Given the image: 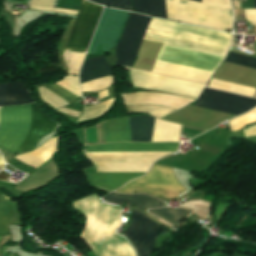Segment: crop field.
I'll list each match as a JSON object with an SVG mask.
<instances>
[{"instance_id":"obj_1","label":"crop field","mask_w":256,"mask_h":256,"mask_svg":"<svg viewBox=\"0 0 256 256\" xmlns=\"http://www.w3.org/2000/svg\"><path fill=\"white\" fill-rule=\"evenodd\" d=\"M151 19V17L143 16L140 14H130L124 28L123 36L116 48L115 66L132 65L141 44L142 38ZM147 32L225 50L228 49L231 41V34L228 33L207 30L191 25L180 24L155 18L152 19ZM148 33L145 34L143 39L166 43L191 50L206 52L222 57H224L227 52L221 49L202 46Z\"/></svg>"},{"instance_id":"obj_2","label":"crop field","mask_w":256,"mask_h":256,"mask_svg":"<svg viewBox=\"0 0 256 256\" xmlns=\"http://www.w3.org/2000/svg\"><path fill=\"white\" fill-rule=\"evenodd\" d=\"M179 143H113L84 146L85 151H175ZM179 146V145H178ZM98 172L148 171L158 158L172 152H85ZM147 172L92 173L89 177L101 189L112 191Z\"/></svg>"},{"instance_id":"obj_3","label":"crop field","mask_w":256,"mask_h":256,"mask_svg":"<svg viewBox=\"0 0 256 256\" xmlns=\"http://www.w3.org/2000/svg\"><path fill=\"white\" fill-rule=\"evenodd\" d=\"M95 194L73 202L87 217L81 237L87 242L95 256H134L126 239L115 234L120 225L121 208L101 203Z\"/></svg>"},{"instance_id":"obj_4","label":"crop field","mask_w":256,"mask_h":256,"mask_svg":"<svg viewBox=\"0 0 256 256\" xmlns=\"http://www.w3.org/2000/svg\"><path fill=\"white\" fill-rule=\"evenodd\" d=\"M133 11L166 18L165 0H132ZM167 18L216 29H231L233 13L229 0H166Z\"/></svg>"},{"instance_id":"obj_5","label":"crop field","mask_w":256,"mask_h":256,"mask_svg":"<svg viewBox=\"0 0 256 256\" xmlns=\"http://www.w3.org/2000/svg\"><path fill=\"white\" fill-rule=\"evenodd\" d=\"M56 124L36 103L0 109V134L32 150L39 139L54 130ZM2 135L0 149L13 154L30 151Z\"/></svg>"},{"instance_id":"obj_6","label":"crop field","mask_w":256,"mask_h":256,"mask_svg":"<svg viewBox=\"0 0 256 256\" xmlns=\"http://www.w3.org/2000/svg\"><path fill=\"white\" fill-rule=\"evenodd\" d=\"M185 189L177 182L171 168L154 165L141 178L131 181L116 192H145L160 197L176 198Z\"/></svg>"},{"instance_id":"obj_7","label":"crop field","mask_w":256,"mask_h":256,"mask_svg":"<svg viewBox=\"0 0 256 256\" xmlns=\"http://www.w3.org/2000/svg\"><path fill=\"white\" fill-rule=\"evenodd\" d=\"M154 117H127L130 141L150 142ZM126 117L103 121L106 142L129 141ZM160 142V141H159Z\"/></svg>"},{"instance_id":"obj_8","label":"crop field","mask_w":256,"mask_h":256,"mask_svg":"<svg viewBox=\"0 0 256 256\" xmlns=\"http://www.w3.org/2000/svg\"><path fill=\"white\" fill-rule=\"evenodd\" d=\"M131 80L134 86L140 88L175 93L194 98L199 96L204 87V84L147 73L136 69L131 70Z\"/></svg>"},{"instance_id":"obj_9","label":"crop field","mask_w":256,"mask_h":256,"mask_svg":"<svg viewBox=\"0 0 256 256\" xmlns=\"http://www.w3.org/2000/svg\"><path fill=\"white\" fill-rule=\"evenodd\" d=\"M127 14L105 8L87 54H104L114 46L120 37Z\"/></svg>"},{"instance_id":"obj_10","label":"crop field","mask_w":256,"mask_h":256,"mask_svg":"<svg viewBox=\"0 0 256 256\" xmlns=\"http://www.w3.org/2000/svg\"><path fill=\"white\" fill-rule=\"evenodd\" d=\"M102 6L82 1L65 50L86 52Z\"/></svg>"},{"instance_id":"obj_11","label":"crop field","mask_w":256,"mask_h":256,"mask_svg":"<svg viewBox=\"0 0 256 256\" xmlns=\"http://www.w3.org/2000/svg\"><path fill=\"white\" fill-rule=\"evenodd\" d=\"M160 228L161 226L155 224L145 214L133 210L131 223L123 235L134 245L138 256H149Z\"/></svg>"},{"instance_id":"obj_12","label":"crop field","mask_w":256,"mask_h":256,"mask_svg":"<svg viewBox=\"0 0 256 256\" xmlns=\"http://www.w3.org/2000/svg\"><path fill=\"white\" fill-rule=\"evenodd\" d=\"M195 105L240 115L256 106V100L205 88Z\"/></svg>"},{"instance_id":"obj_13","label":"crop field","mask_w":256,"mask_h":256,"mask_svg":"<svg viewBox=\"0 0 256 256\" xmlns=\"http://www.w3.org/2000/svg\"><path fill=\"white\" fill-rule=\"evenodd\" d=\"M156 59L213 72L223 58L163 44Z\"/></svg>"},{"instance_id":"obj_14","label":"crop field","mask_w":256,"mask_h":256,"mask_svg":"<svg viewBox=\"0 0 256 256\" xmlns=\"http://www.w3.org/2000/svg\"><path fill=\"white\" fill-rule=\"evenodd\" d=\"M112 75L110 65L104 56L87 59L84 61L82 71L80 73V82H86L94 80L102 76ZM112 83V76L103 77L98 80L86 82L81 84L82 91H90L106 86H110ZM106 89V88H103ZM103 89L95 90L101 91Z\"/></svg>"},{"instance_id":"obj_15","label":"crop field","mask_w":256,"mask_h":256,"mask_svg":"<svg viewBox=\"0 0 256 256\" xmlns=\"http://www.w3.org/2000/svg\"><path fill=\"white\" fill-rule=\"evenodd\" d=\"M57 84L61 85L65 89L69 90L71 93H73L77 97L80 96L78 77L68 75L62 81L58 82ZM45 87L66 101L76 98L69 91L63 89L62 87H60L54 83L49 86H45ZM38 89H39L42 99L45 100L47 103H49L55 109L60 106L68 105V103L66 101H64L63 99H61L54 93L50 92L49 90H47L43 87H40Z\"/></svg>"},{"instance_id":"obj_16","label":"crop field","mask_w":256,"mask_h":256,"mask_svg":"<svg viewBox=\"0 0 256 256\" xmlns=\"http://www.w3.org/2000/svg\"><path fill=\"white\" fill-rule=\"evenodd\" d=\"M33 99L19 82L0 84V106L31 103Z\"/></svg>"},{"instance_id":"obj_17","label":"crop field","mask_w":256,"mask_h":256,"mask_svg":"<svg viewBox=\"0 0 256 256\" xmlns=\"http://www.w3.org/2000/svg\"><path fill=\"white\" fill-rule=\"evenodd\" d=\"M106 201L117 202L123 204L125 201L131 202L136 205L141 211L147 208L162 207V202L154 199L153 197L141 194H117L110 193L103 198Z\"/></svg>"},{"instance_id":"obj_18","label":"crop field","mask_w":256,"mask_h":256,"mask_svg":"<svg viewBox=\"0 0 256 256\" xmlns=\"http://www.w3.org/2000/svg\"><path fill=\"white\" fill-rule=\"evenodd\" d=\"M161 218L167 220L173 225L179 226V221L183 219L186 215H188L191 211L186 210V209H177V210H172V209H158V210H148Z\"/></svg>"},{"instance_id":"obj_19","label":"crop field","mask_w":256,"mask_h":256,"mask_svg":"<svg viewBox=\"0 0 256 256\" xmlns=\"http://www.w3.org/2000/svg\"><path fill=\"white\" fill-rule=\"evenodd\" d=\"M127 112L131 111H141V112H148L149 114L161 118L177 109L163 107L158 105H131L125 106Z\"/></svg>"},{"instance_id":"obj_20","label":"crop field","mask_w":256,"mask_h":256,"mask_svg":"<svg viewBox=\"0 0 256 256\" xmlns=\"http://www.w3.org/2000/svg\"><path fill=\"white\" fill-rule=\"evenodd\" d=\"M13 222V214L8 203L0 196V235H10L7 225Z\"/></svg>"},{"instance_id":"obj_21","label":"crop field","mask_w":256,"mask_h":256,"mask_svg":"<svg viewBox=\"0 0 256 256\" xmlns=\"http://www.w3.org/2000/svg\"><path fill=\"white\" fill-rule=\"evenodd\" d=\"M228 122L232 131L243 129L244 125L256 122V108Z\"/></svg>"},{"instance_id":"obj_22","label":"crop field","mask_w":256,"mask_h":256,"mask_svg":"<svg viewBox=\"0 0 256 256\" xmlns=\"http://www.w3.org/2000/svg\"><path fill=\"white\" fill-rule=\"evenodd\" d=\"M52 5H53V0H32L30 3V7L33 9L73 14V15H76L78 12L75 10L52 8Z\"/></svg>"},{"instance_id":"obj_23","label":"crop field","mask_w":256,"mask_h":256,"mask_svg":"<svg viewBox=\"0 0 256 256\" xmlns=\"http://www.w3.org/2000/svg\"><path fill=\"white\" fill-rule=\"evenodd\" d=\"M112 100L113 98L98 105L86 107L78 121L85 120L91 117H96L104 113L108 109L109 105L112 103Z\"/></svg>"},{"instance_id":"obj_24","label":"crop field","mask_w":256,"mask_h":256,"mask_svg":"<svg viewBox=\"0 0 256 256\" xmlns=\"http://www.w3.org/2000/svg\"><path fill=\"white\" fill-rule=\"evenodd\" d=\"M225 61L256 69V58L254 57L230 52Z\"/></svg>"},{"instance_id":"obj_25","label":"crop field","mask_w":256,"mask_h":256,"mask_svg":"<svg viewBox=\"0 0 256 256\" xmlns=\"http://www.w3.org/2000/svg\"><path fill=\"white\" fill-rule=\"evenodd\" d=\"M103 5L122 8L131 11L130 0H89Z\"/></svg>"},{"instance_id":"obj_26","label":"crop field","mask_w":256,"mask_h":256,"mask_svg":"<svg viewBox=\"0 0 256 256\" xmlns=\"http://www.w3.org/2000/svg\"><path fill=\"white\" fill-rule=\"evenodd\" d=\"M245 16L250 24H256V9H245Z\"/></svg>"},{"instance_id":"obj_27","label":"crop field","mask_w":256,"mask_h":256,"mask_svg":"<svg viewBox=\"0 0 256 256\" xmlns=\"http://www.w3.org/2000/svg\"><path fill=\"white\" fill-rule=\"evenodd\" d=\"M243 132H244L246 137L256 136V126L247 128V129L243 130Z\"/></svg>"},{"instance_id":"obj_28","label":"crop field","mask_w":256,"mask_h":256,"mask_svg":"<svg viewBox=\"0 0 256 256\" xmlns=\"http://www.w3.org/2000/svg\"><path fill=\"white\" fill-rule=\"evenodd\" d=\"M58 110H60V111H62V112H65V113H67V114H69V115H72V116H74V117H78V115H79V112H75V111H72V110H69V109H65V108H62V109H58Z\"/></svg>"},{"instance_id":"obj_29","label":"crop field","mask_w":256,"mask_h":256,"mask_svg":"<svg viewBox=\"0 0 256 256\" xmlns=\"http://www.w3.org/2000/svg\"><path fill=\"white\" fill-rule=\"evenodd\" d=\"M8 177H10V175H8L7 173H5L3 171L0 172V179L5 180Z\"/></svg>"},{"instance_id":"obj_30","label":"crop field","mask_w":256,"mask_h":256,"mask_svg":"<svg viewBox=\"0 0 256 256\" xmlns=\"http://www.w3.org/2000/svg\"><path fill=\"white\" fill-rule=\"evenodd\" d=\"M106 95H107V89L104 90V91H102V92H100V93L98 94V99H100V98H102V97H104V96H106Z\"/></svg>"},{"instance_id":"obj_31","label":"crop field","mask_w":256,"mask_h":256,"mask_svg":"<svg viewBox=\"0 0 256 256\" xmlns=\"http://www.w3.org/2000/svg\"><path fill=\"white\" fill-rule=\"evenodd\" d=\"M8 1H13V2H17V3H26L27 0H8Z\"/></svg>"},{"instance_id":"obj_32","label":"crop field","mask_w":256,"mask_h":256,"mask_svg":"<svg viewBox=\"0 0 256 256\" xmlns=\"http://www.w3.org/2000/svg\"><path fill=\"white\" fill-rule=\"evenodd\" d=\"M0 164H2V165L4 164V161L1 156H0Z\"/></svg>"},{"instance_id":"obj_33","label":"crop field","mask_w":256,"mask_h":256,"mask_svg":"<svg viewBox=\"0 0 256 256\" xmlns=\"http://www.w3.org/2000/svg\"><path fill=\"white\" fill-rule=\"evenodd\" d=\"M254 8H256V0H254Z\"/></svg>"},{"instance_id":"obj_34","label":"crop field","mask_w":256,"mask_h":256,"mask_svg":"<svg viewBox=\"0 0 256 256\" xmlns=\"http://www.w3.org/2000/svg\"><path fill=\"white\" fill-rule=\"evenodd\" d=\"M196 1H200L201 2V0H196Z\"/></svg>"},{"instance_id":"obj_35","label":"crop field","mask_w":256,"mask_h":256,"mask_svg":"<svg viewBox=\"0 0 256 256\" xmlns=\"http://www.w3.org/2000/svg\"><path fill=\"white\" fill-rule=\"evenodd\" d=\"M2 238V236H0V239Z\"/></svg>"},{"instance_id":"obj_36","label":"crop field","mask_w":256,"mask_h":256,"mask_svg":"<svg viewBox=\"0 0 256 256\" xmlns=\"http://www.w3.org/2000/svg\"><path fill=\"white\" fill-rule=\"evenodd\" d=\"M256 97V96H255Z\"/></svg>"}]
</instances>
